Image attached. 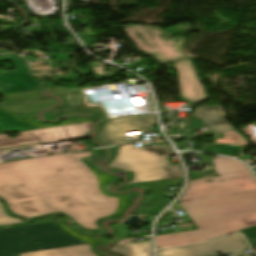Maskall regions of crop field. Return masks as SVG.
Returning a JSON list of instances; mask_svg holds the SVG:
<instances>
[{"mask_svg": "<svg viewBox=\"0 0 256 256\" xmlns=\"http://www.w3.org/2000/svg\"><path fill=\"white\" fill-rule=\"evenodd\" d=\"M90 152L0 164V196L12 212L34 217L63 211L88 229L116 211L118 198L100 193L93 171L78 159Z\"/></svg>", "mask_w": 256, "mask_h": 256, "instance_id": "1", "label": "crop field"}, {"mask_svg": "<svg viewBox=\"0 0 256 256\" xmlns=\"http://www.w3.org/2000/svg\"><path fill=\"white\" fill-rule=\"evenodd\" d=\"M212 160L220 176L191 180L179 199L199 230L156 236L157 247L219 238L256 223V178L235 159Z\"/></svg>", "mask_w": 256, "mask_h": 256, "instance_id": "2", "label": "crop field"}, {"mask_svg": "<svg viewBox=\"0 0 256 256\" xmlns=\"http://www.w3.org/2000/svg\"><path fill=\"white\" fill-rule=\"evenodd\" d=\"M133 144L135 142L118 146L115 157L108 164L115 170L132 171L133 180L129 184L184 176L180 164L165 166L169 163L165 158L172 156L168 145L136 148Z\"/></svg>", "mask_w": 256, "mask_h": 256, "instance_id": "3", "label": "crop field"}, {"mask_svg": "<svg viewBox=\"0 0 256 256\" xmlns=\"http://www.w3.org/2000/svg\"><path fill=\"white\" fill-rule=\"evenodd\" d=\"M63 231L55 222L0 229V256L85 244Z\"/></svg>", "mask_w": 256, "mask_h": 256, "instance_id": "4", "label": "crop field"}, {"mask_svg": "<svg viewBox=\"0 0 256 256\" xmlns=\"http://www.w3.org/2000/svg\"><path fill=\"white\" fill-rule=\"evenodd\" d=\"M125 33L136 44L139 50L155 56L162 64L184 57L181 44L182 36L167 39L163 30L146 26H124Z\"/></svg>", "mask_w": 256, "mask_h": 256, "instance_id": "5", "label": "crop field"}, {"mask_svg": "<svg viewBox=\"0 0 256 256\" xmlns=\"http://www.w3.org/2000/svg\"><path fill=\"white\" fill-rule=\"evenodd\" d=\"M93 127V123L50 127L46 129L20 132L15 138H8L3 134L0 135V148L80 138L90 132Z\"/></svg>", "mask_w": 256, "mask_h": 256, "instance_id": "6", "label": "crop field"}, {"mask_svg": "<svg viewBox=\"0 0 256 256\" xmlns=\"http://www.w3.org/2000/svg\"><path fill=\"white\" fill-rule=\"evenodd\" d=\"M245 250H248V247L242 235L234 234L211 242L163 249L157 253L158 256H217L216 252H220V254L246 256Z\"/></svg>", "mask_w": 256, "mask_h": 256, "instance_id": "7", "label": "crop field"}, {"mask_svg": "<svg viewBox=\"0 0 256 256\" xmlns=\"http://www.w3.org/2000/svg\"><path fill=\"white\" fill-rule=\"evenodd\" d=\"M154 115H140L128 118L115 119L103 122L102 128L97 132L96 138L105 146L126 143L123 132L138 130L139 133L153 132L152 125H155Z\"/></svg>", "mask_w": 256, "mask_h": 256, "instance_id": "8", "label": "crop field"}, {"mask_svg": "<svg viewBox=\"0 0 256 256\" xmlns=\"http://www.w3.org/2000/svg\"><path fill=\"white\" fill-rule=\"evenodd\" d=\"M0 60L14 61L17 67L15 72H0V94L37 89L38 83L27 74L28 66L26 61L15 55H2Z\"/></svg>", "mask_w": 256, "mask_h": 256, "instance_id": "9", "label": "crop field"}, {"mask_svg": "<svg viewBox=\"0 0 256 256\" xmlns=\"http://www.w3.org/2000/svg\"><path fill=\"white\" fill-rule=\"evenodd\" d=\"M193 113L213 133L234 130L231 124L225 119L226 114L220 105L196 108Z\"/></svg>", "mask_w": 256, "mask_h": 256, "instance_id": "10", "label": "crop field"}, {"mask_svg": "<svg viewBox=\"0 0 256 256\" xmlns=\"http://www.w3.org/2000/svg\"><path fill=\"white\" fill-rule=\"evenodd\" d=\"M175 69L178 70V77L180 82L181 97L190 101L198 102L201 101L191 76L190 70L188 68L186 60L174 62Z\"/></svg>", "mask_w": 256, "mask_h": 256, "instance_id": "11", "label": "crop field"}, {"mask_svg": "<svg viewBox=\"0 0 256 256\" xmlns=\"http://www.w3.org/2000/svg\"><path fill=\"white\" fill-rule=\"evenodd\" d=\"M19 256H96L89 244L47 251L21 254Z\"/></svg>", "mask_w": 256, "mask_h": 256, "instance_id": "12", "label": "crop field"}, {"mask_svg": "<svg viewBox=\"0 0 256 256\" xmlns=\"http://www.w3.org/2000/svg\"><path fill=\"white\" fill-rule=\"evenodd\" d=\"M110 253L122 256H152L150 240L120 244L113 247Z\"/></svg>", "mask_w": 256, "mask_h": 256, "instance_id": "13", "label": "crop field"}, {"mask_svg": "<svg viewBox=\"0 0 256 256\" xmlns=\"http://www.w3.org/2000/svg\"><path fill=\"white\" fill-rule=\"evenodd\" d=\"M183 178H176V179H168V180H160V181H152V182H145V183H137L139 185H144L146 187H150L151 191L148 196H146L142 201H148L150 199H154L158 196H161L163 192V187L181 184L183 183Z\"/></svg>", "mask_w": 256, "mask_h": 256, "instance_id": "14", "label": "crop field"}, {"mask_svg": "<svg viewBox=\"0 0 256 256\" xmlns=\"http://www.w3.org/2000/svg\"><path fill=\"white\" fill-rule=\"evenodd\" d=\"M91 169V168H90ZM95 172L94 169H91ZM98 180H99V184H100V191L102 193H104L105 195L107 196H110V197H119V201H120V204H119V207L117 209V211L112 214L111 216H120L121 213L123 212V210L128 207L129 205V202H130V197H129V194H125V195H120V196H111L109 194H107L105 191H104V188L111 182V181H114L115 180V177L113 176H109V175H105V174H102V175H98L96 172H95Z\"/></svg>", "mask_w": 256, "mask_h": 256, "instance_id": "15", "label": "crop field"}, {"mask_svg": "<svg viewBox=\"0 0 256 256\" xmlns=\"http://www.w3.org/2000/svg\"><path fill=\"white\" fill-rule=\"evenodd\" d=\"M52 104H54V101L52 99H48V100L33 102V103L3 106L0 108H3L5 110L11 111V112L21 113V112L42 109V108L48 107Z\"/></svg>", "mask_w": 256, "mask_h": 256, "instance_id": "16", "label": "crop field"}, {"mask_svg": "<svg viewBox=\"0 0 256 256\" xmlns=\"http://www.w3.org/2000/svg\"><path fill=\"white\" fill-rule=\"evenodd\" d=\"M3 96H4L5 102L0 103V105L38 99V90L22 92V93L6 94Z\"/></svg>", "mask_w": 256, "mask_h": 256, "instance_id": "17", "label": "crop field"}, {"mask_svg": "<svg viewBox=\"0 0 256 256\" xmlns=\"http://www.w3.org/2000/svg\"><path fill=\"white\" fill-rule=\"evenodd\" d=\"M157 201V200H156ZM170 201L168 200H160L157 202H153L151 204L136 208L133 213L139 214H157L163 208H165Z\"/></svg>", "mask_w": 256, "mask_h": 256, "instance_id": "18", "label": "crop field"}, {"mask_svg": "<svg viewBox=\"0 0 256 256\" xmlns=\"http://www.w3.org/2000/svg\"><path fill=\"white\" fill-rule=\"evenodd\" d=\"M80 111L96 112V113H99V114H101V115H103L104 117L107 118V116L104 114V112L102 111L100 106L87 107V105L79 106V107H75V108H66V109L51 111V115L53 117H55V116H58L60 114H64V113H68V112H80Z\"/></svg>", "mask_w": 256, "mask_h": 256, "instance_id": "19", "label": "crop field"}, {"mask_svg": "<svg viewBox=\"0 0 256 256\" xmlns=\"http://www.w3.org/2000/svg\"><path fill=\"white\" fill-rule=\"evenodd\" d=\"M63 230L89 242V243H92V242H99V241H107L106 239L102 238V237H94V238H89V237H83V236H80L79 234L71 231L66 225L62 224L61 222H56Z\"/></svg>", "mask_w": 256, "mask_h": 256, "instance_id": "20", "label": "crop field"}, {"mask_svg": "<svg viewBox=\"0 0 256 256\" xmlns=\"http://www.w3.org/2000/svg\"><path fill=\"white\" fill-rule=\"evenodd\" d=\"M245 234L251 247H256V226L239 231Z\"/></svg>", "mask_w": 256, "mask_h": 256, "instance_id": "21", "label": "crop field"}, {"mask_svg": "<svg viewBox=\"0 0 256 256\" xmlns=\"http://www.w3.org/2000/svg\"><path fill=\"white\" fill-rule=\"evenodd\" d=\"M21 221L15 218H12L5 214V211L0 203V225L16 224Z\"/></svg>", "mask_w": 256, "mask_h": 256, "instance_id": "22", "label": "crop field"}, {"mask_svg": "<svg viewBox=\"0 0 256 256\" xmlns=\"http://www.w3.org/2000/svg\"><path fill=\"white\" fill-rule=\"evenodd\" d=\"M70 106L73 105H83L85 104L84 98L82 96V93H76L72 95L65 96Z\"/></svg>", "mask_w": 256, "mask_h": 256, "instance_id": "23", "label": "crop field"}, {"mask_svg": "<svg viewBox=\"0 0 256 256\" xmlns=\"http://www.w3.org/2000/svg\"><path fill=\"white\" fill-rule=\"evenodd\" d=\"M186 60H187V62H188L189 68H190L191 73H192V76H193V78H194V81H195V84H196V87H197L198 94H199L201 100H204L205 97H204L203 90H202V87H201V85H200L199 79H198V77H197V75H196V73H195V71H194V69H193L191 63L189 62V60H188V59H186Z\"/></svg>", "mask_w": 256, "mask_h": 256, "instance_id": "24", "label": "crop field"}, {"mask_svg": "<svg viewBox=\"0 0 256 256\" xmlns=\"http://www.w3.org/2000/svg\"><path fill=\"white\" fill-rule=\"evenodd\" d=\"M2 111V110H1ZM5 112V111H4ZM6 113H8V112H6ZM10 114V113H9ZM11 115H13V114H11ZM14 117H16L15 115H13ZM36 116V114H34V115H32V116H30L27 120H25V121H21V120H19L17 117V119H18V121H21V122H27V123H30L29 122V120L30 119H32L33 117H35ZM91 119H88V118H80V119H76V120H71V121H67V122H64V123H62V124H60V125H56V126H61V125H66V124H74V123H82V122H87V121H90ZM42 126H47V127H50V126H48V125H42Z\"/></svg>", "mask_w": 256, "mask_h": 256, "instance_id": "25", "label": "crop field"}, {"mask_svg": "<svg viewBox=\"0 0 256 256\" xmlns=\"http://www.w3.org/2000/svg\"><path fill=\"white\" fill-rule=\"evenodd\" d=\"M84 89V88H82ZM82 89H78V90H63L61 88H55V93L57 94H61V93H67V92H73V91H79V90H82Z\"/></svg>", "mask_w": 256, "mask_h": 256, "instance_id": "26", "label": "crop field"}, {"mask_svg": "<svg viewBox=\"0 0 256 256\" xmlns=\"http://www.w3.org/2000/svg\"><path fill=\"white\" fill-rule=\"evenodd\" d=\"M98 244H108V242H99V243H93V244H90V246L92 247V249L94 250L95 247L98 245ZM97 256H100L98 254H96Z\"/></svg>", "mask_w": 256, "mask_h": 256, "instance_id": "27", "label": "crop field"}, {"mask_svg": "<svg viewBox=\"0 0 256 256\" xmlns=\"http://www.w3.org/2000/svg\"><path fill=\"white\" fill-rule=\"evenodd\" d=\"M208 241V240H207ZM201 242H204V241H201ZM194 243H197V242H194ZM187 244H189V243H187ZM180 245H182V244H180ZM173 246H175V245H173Z\"/></svg>", "mask_w": 256, "mask_h": 256, "instance_id": "28", "label": "crop field"}]
</instances>
